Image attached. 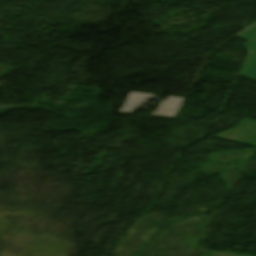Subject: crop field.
I'll return each mask as SVG.
<instances>
[{
  "mask_svg": "<svg viewBox=\"0 0 256 256\" xmlns=\"http://www.w3.org/2000/svg\"><path fill=\"white\" fill-rule=\"evenodd\" d=\"M251 55L247 60L241 76L256 80V40L250 42Z\"/></svg>",
  "mask_w": 256,
  "mask_h": 256,
  "instance_id": "2",
  "label": "crop field"
},
{
  "mask_svg": "<svg viewBox=\"0 0 256 256\" xmlns=\"http://www.w3.org/2000/svg\"><path fill=\"white\" fill-rule=\"evenodd\" d=\"M238 38H241L243 40L249 41L254 38H256V25L253 26L252 28L248 29L244 33L238 36Z\"/></svg>",
  "mask_w": 256,
  "mask_h": 256,
  "instance_id": "3",
  "label": "crop field"
},
{
  "mask_svg": "<svg viewBox=\"0 0 256 256\" xmlns=\"http://www.w3.org/2000/svg\"><path fill=\"white\" fill-rule=\"evenodd\" d=\"M247 119H244L236 128L232 129V130H229L227 132H224V133H221V134H218L216 135L215 137L216 138H220V139H224V140H228V141H232L234 142L236 137L238 136V134L240 133L241 129L243 128V126L245 125ZM248 124L247 126L245 127L244 131L242 132L241 136L239 137L238 141L236 143H239L241 138L243 137L244 133L246 132L247 128L249 127L250 123H252L251 127L249 128L248 132L246 133L245 137L243 138L242 142L240 144H244L246 139L248 138L249 134L251 133L252 129L254 128L256 122L255 121H251V120H248ZM256 134V128L254 129L253 133L251 134L250 138L248 139L247 143L244 144V145H248V146H252V147H256L254 146L255 143H256V137L255 139L253 140L252 144H250L251 140L253 139L254 135Z\"/></svg>",
  "mask_w": 256,
  "mask_h": 256,
  "instance_id": "1",
  "label": "crop field"
}]
</instances>
